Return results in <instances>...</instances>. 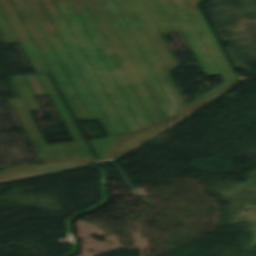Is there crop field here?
I'll return each mask as SVG.
<instances>
[{
    "mask_svg": "<svg viewBox=\"0 0 256 256\" xmlns=\"http://www.w3.org/2000/svg\"><path fill=\"white\" fill-rule=\"evenodd\" d=\"M74 113H75L77 119H82L81 116L78 114L77 111H74ZM113 158H114V157H113ZM109 159H111V158H109ZM99 160H101V159H99ZM99 160H96V161H99ZM104 160H105V159H104ZM67 162H70V161H67ZM43 163H44V162H43ZM53 163H59V162H53ZM44 164H49V163H44Z\"/></svg>",
    "mask_w": 256,
    "mask_h": 256,
    "instance_id": "1",
    "label": "crop field"
}]
</instances>
